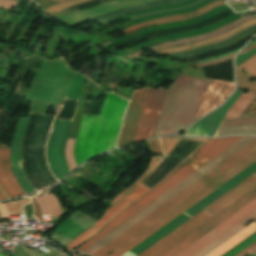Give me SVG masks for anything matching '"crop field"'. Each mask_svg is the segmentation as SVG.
<instances>
[{
	"mask_svg": "<svg viewBox=\"0 0 256 256\" xmlns=\"http://www.w3.org/2000/svg\"><path fill=\"white\" fill-rule=\"evenodd\" d=\"M126 103L116 95L107 94L99 115H83L74 150L77 166L115 147Z\"/></svg>",
	"mask_w": 256,
	"mask_h": 256,
	"instance_id": "obj_1",
	"label": "crop field"
},
{
	"mask_svg": "<svg viewBox=\"0 0 256 256\" xmlns=\"http://www.w3.org/2000/svg\"><path fill=\"white\" fill-rule=\"evenodd\" d=\"M210 82L211 80L179 76L167 92L155 136L174 134L191 124L200 96Z\"/></svg>",
	"mask_w": 256,
	"mask_h": 256,
	"instance_id": "obj_2",
	"label": "crop field"
},
{
	"mask_svg": "<svg viewBox=\"0 0 256 256\" xmlns=\"http://www.w3.org/2000/svg\"><path fill=\"white\" fill-rule=\"evenodd\" d=\"M242 137H225L217 139H209L205 145L194 155V157L184 165L180 170L174 173L166 181L156 187L154 190L146 194L144 197L139 199L137 202L132 204L130 207L118 214L112 219L103 231L97 234L95 237L87 241L78 249L82 252L93 243L98 241L100 238L105 236L107 233L115 229L117 226L122 224L124 221L129 219L131 216L136 214L138 211L143 209L145 206L150 204L152 201L157 199L159 196L167 192L169 189L174 187L176 184L181 182L183 179L188 177L190 174L195 172L197 169L202 167L204 164L209 162L211 159L219 155L221 152L226 150L228 147L233 145L235 142L240 140Z\"/></svg>",
	"mask_w": 256,
	"mask_h": 256,
	"instance_id": "obj_3",
	"label": "crop field"
},
{
	"mask_svg": "<svg viewBox=\"0 0 256 256\" xmlns=\"http://www.w3.org/2000/svg\"><path fill=\"white\" fill-rule=\"evenodd\" d=\"M256 149V138L248 143L246 146L241 148L239 151L234 153L232 156L227 158L225 161L220 163L218 166L210 170L208 173L203 175L201 178L196 180L194 183L189 185L187 188L182 190L180 193L175 195L173 198L168 200L166 203L161 205L159 208L154 210L152 213L147 215L145 218L140 220L138 223L130 227L128 230L123 232L121 235L116 237L114 240L109 242L107 245L102 247L100 250H98L96 253H94L92 256H105V254L109 251L115 250L117 247L122 245L124 242L129 240L131 237L136 235L138 232L143 230L145 227L153 223L155 220L160 218L162 215L167 213L169 210L174 208L176 205L181 203L183 200L188 198L190 195L195 193L197 190L202 188L204 185L209 183L211 180L216 178L218 175L223 173L225 170L230 168L232 165L237 163L239 160L244 158L246 155L251 153L253 150Z\"/></svg>",
	"mask_w": 256,
	"mask_h": 256,
	"instance_id": "obj_4",
	"label": "crop field"
},
{
	"mask_svg": "<svg viewBox=\"0 0 256 256\" xmlns=\"http://www.w3.org/2000/svg\"><path fill=\"white\" fill-rule=\"evenodd\" d=\"M184 139H191V138H180V137L160 138L165 157L152 158L144 175L131 187H129L127 190H125L123 193H121L119 196H117L115 199L109 202V204L113 205L115 202L120 200L126 194L128 193L129 194L125 196L123 199H121L118 203L108 208L105 214L99 220V222L97 221L98 223L96 225H94L91 229L81 233L79 236L73 239L68 244L66 249L71 251L75 246L79 245L81 242H83L85 239H87L94 233L98 232L116 214L121 212L123 209L131 205L133 202H135L144 194H146L155 186H157L172 171H174L180 164H182L190 155L184 161H182L177 167H175L170 173H168L164 178H162L157 184H155L153 187L142 182ZM196 140H199V139H196Z\"/></svg>",
	"mask_w": 256,
	"mask_h": 256,
	"instance_id": "obj_5",
	"label": "crop field"
},
{
	"mask_svg": "<svg viewBox=\"0 0 256 256\" xmlns=\"http://www.w3.org/2000/svg\"><path fill=\"white\" fill-rule=\"evenodd\" d=\"M255 187H256V173L251 177H249L244 182H242L241 184H239L237 187L232 189L230 192L222 196L220 199L215 201L213 204L205 208L202 212L213 217L216 214H218L220 211H222L223 209L231 205L233 202H235L236 200L244 196L246 193L254 189ZM210 218L211 217L201 212L198 213L196 216H194L189 221L181 225L179 228L174 230L172 233L167 235L165 238L160 240L158 243L153 245L151 248H149L139 256H158L159 254L167 250L169 247L174 245L176 242L181 240L183 237H185L186 235L191 233L193 230L198 228L200 225L208 221Z\"/></svg>",
	"mask_w": 256,
	"mask_h": 256,
	"instance_id": "obj_6",
	"label": "crop field"
},
{
	"mask_svg": "<svg viewBox=\"0 0 256 256\" xmlns=\"http://www.w3.org/2000/svg\"><path fill=\"white\" fill-rule=\"evenodd\" d=\"M254 161H256V150L249 154L247 157L242 159L240 162L235 164L233 167L228 169L226 172L221 174L219 177L214 179L212 182L207 184L205 187L200 189L198 192L193 194L191 197L186 199L184 202L179 204L177 207L172 209L170 212L165 214L163 217L158 219L156 222L148 226L146 229L141 231L139 234L134 236L132 239L124 243L122 246L117 248L112 254L109 256H122L124 253H126L128 250L133 248L135 245L140 243L142 240L147 238L149 235L154 233L156 230H158L160 227L165 225L167 222L172 220L174 217L182 213L184 210L192 206L194 203L202 199L204 196L212 192L214 189L222 185L224 182L232 178L234 175L242 171L244 168L252 164Z\"/></svg>",
	"mask_w": 256,
	"mask_h": 256,
	"instance_id": "obj_7",
	"label": "crop field"
},
{
	"mask_svg": "<svg viewBox=\"0 0 256 256\" xmlns=\"http://www.w3.org/2000/svg\"><path fill=\"white\" fill-rule=\"evenodd\" d=\"M255 137H244L242 138L240 141H238L237 143H235L233 146H231L230 148H228L226 151H224L223 153H221L219 156H217L216 158H214L213 160H211L209 163H207L206 165H204L202 168H200L199 170H197L195 173H193L192 175H190L188 178H186L185 180H183L181 183H179L178 185H176L174 188H172L171 190H169L167 193H165L164 195H162L161 197H159L157 200H155L154 202H152L150 205H148L147 207H145L143 210H141L140 212H138L136 215H134L133 217H131L129 220H127L126 222H124L122 225H120L119 227H117L115 230H113L112 232H110L109 234H107L105 237H103L102 239H100L98 242H96L95 244H93L91 247H89L88 249H86L84 252L85 253H92L93 251H97L98 249H100L102 246H104L105 244H107L109 241H111L112 239H114L116 236H118L119 234H121L123 231H125L126 229H128L130 226H132L133 224H135L136 222H138L140 219H142L143 217H145L147 214H149L150 212H152L154 209H156L157 207H159L161 204H163L164 202H166L168 199H170L171 197H173L175 194H177L178 192H180L182 189H184L185 187H187L189 184H191L192 182H194L196 179H198L199 177H201L203 174H205L206 172H208L210 169H212L213 167H215L216 165H218L220 162H222L223 160H225L227 157H229L230 155H232L234 152H236L237 150H239L241 147H243L244 145H246L248 142H250L251 140H253Z\"/></svg>",
	"mask_w": 256,
	"mask_h": 256,
	"instance_id": "obj_8",
	"label": "crop field"
},
{
	"mask_svg": "<svg viewBox=\"0 0 256 256\" xmlns=\"http://www.w3.org/2000/svg\"><path fill=\"white\" fill-rule=\"evenodd\" d=\"M254 172H256V162H254L252 165H250L249 167H247L246 169H244L242 172H240L239 174H237L235 177H233L232 179H230L228 182H226L225 184H223L222 186H220L218 189H216L215 191H213L211 194H209L208 196H206L204 199H202L201 201H199L198 203H196L194 206H192L191 208H189L187 211H185L184 213H182L180 216H178L177 218H175L173 221H171L170 223H168L167 225H165L163 228H161L160 230H158L156 233H154L153 235H151L149 238H147L146 240H144L143 242H141L139 245H137L136 247H134L132 250V252H134L135 254H140L142 251H144L145 249H147L148 247H150L152 244H154L155 242H157L159 239H161L162 237H164L165 235H167L169 232H171L172 230H174L176 227H178L179 225H181L183 222H185L186 220H188L189 218H191L193 215H195L196 213H198L200 210H202L203 208H205L206 206H208L210 203H212L213 201H215L217 198H219L220 196H222L223 194H225L227 191H229L230 189H232L234 186H236L237 184H239L241 181H243L244 179H246L247 177H249L251 174H253Z\"/></svg>",
	"mask_w": 256,
	"mask_h": 256,
	"instance_id": "obj_9",
	"label": "crop field"
},
{
	"mask_svg": "<svg viewBox=\"0 0 256 256\" xmlns=\"http://www.w3.org/2000/svg\"><path fill=\"white\" fill-rule=\"evenodd\" d=\"M72 120L56 119L48 147V160L53 174L59 179L68 172L64 150Z\"/></svg>",
	"mask_w": 256,
	"mask_h": 256,
	"instance_id": "obj_10",
	"label": "crop field"
},
{
	"mask_svg": "<svg viewBox=\"0 0 256 256\" xmlns=\"http://www.w3.org/2000/svg\"><path fill=\"white\" fill-rule=\"evenodd\" d=\"M166 92L165 90H148L135 141L154 135Z\"/></svg>",
	"mask_w": 256,
	"mask_h": 256,
	"instance_id": "obj_11",
	"label": "crop field"
},
{
	"mask_svg": "<svg viewBox=\"0 0 256 256\" xmlns=\"http://www.w3.org/2000/svg\"><path fill=\"white\" fill-rule=\"evenodd\" d=\"M256 211V199L252 201L250 204L242 208L240 211L235 213L233 216L228 218L226 221L218 225L216 228L211 230L209 233L204 235L202 238L194 242L192 245L187 247L185 250L180 252L176 256H192L197 253L199 250L204 248L210 242L215 240L217 237L222 235L224 232L229 230L231 227L239 223L241 220L249 216L251 213Z\"/></svg>",
	"mask_w": 256,
	"mask_h": 256,
	"instance_id": "obj_12",
	"label": "crop field"
},
{
	"mask_svg": "<svg viewBox=\"0 0 256 256\" xmlns=\"http://www.w3.org/2000/svg\"><path fill=\"white\" fill-rule=\"evenodd\" d=\"M30 115H31V113H29L28 118H23V117L18 118L15 130L13 133L11 146H10L12 172H13L17 182L19 183V185L25 192V194H27L31 191H34V188L28 182V180L23 172V160H22V147H23ZM18 146L20 148V152H19L20 168H21V173L24 176V180H23V178L20 174L19 168H18Z\"/></svg>",
	"mask_w": 256,
	"mask_h": 256,
	"instance_id": "obj_13",
	"label": "crop field"
},
{
	"mask_svg": "<svg viewBox=\"0 0 256 256\" xmlns=\"http://www.w3.org/2000/svg\"><path fill=\"white\" fill-rule=\"evenodd\" d=\"M254 198H256V189L254 191H252L251 193H249L247 196H245L244 198H242L240 201H238L237 203H235L234 205H232L230 208H228L227 210H225L223 213H221L220 215H218L216 218H214L213 220H211L209 223H207L206 225H204L202 228H200L199 230H197L195 233H193L192 235H190L189 237H187L185 240H183L182 242H180L178 245H176L175 247H173L171 250H169L168 252H166L164 255L162 256H174L175 254H177L179 251H181L182 249H184L186 246H188L189 244H191L193 241H195L196 239H198L199 237H201L203 234H205L206 232H208L210 229H212L213 227H215L217 224H219L220 222H222L223 220H225L227 217H229L230 215H232L234 212H236L237 210H239L241 207H243L244 205H246L247 203H249L251 200H253Z\"/></svg>",
	"mask_w": 256,
	"mask_h": 256,
	"instance_id": "obj_14",
	"label": "crop field"
},
{
	"mask_svg": "<svg viewBox=\"0 0 256 256\" xmlns=\"http://www.w3.org/2000/svg\"><path fill=\"white\" fill-rule=\"evenodd\" d=\"M147 90L134 92L120 138L119 146L134 141ZM118 146V147H119Z\"/></svg>",
	"mask_w": 256,
	"mask_h": 256,
	"instance_id": "obj_15",
	"label": "crop field"
},
{
	"mask_svg": "<svg viewBox=\"0 0 256 256\" xmlns=\"http://www.w3.org/2000/svg\"><path fill=\"white\" fill-rule=\"evenodd\" d=\"M239 94L240 92L236 91V93L227 101L224 106L210 113L196 124L191 126L186 130L185 134L192 136H213L221 122L223 115L228 111Z\"/></svg>",
	"mask_w": 256,
	"mask_h": 256,
	"instance_id": "obj_16",
	"label": "crop field"
},
{
	"mask_svg": "<svg viewBox=\"0 0 256 256\" xmlns=\"http://www.w3.org/2000/svg\"><path fill=\"white\" fill-rule=\"evenodd\" d=\"M220 83V81L214 80L207 91L204 93L196 119L220 105L234 90L233 84L226 82H223V84L217 90L216 88L220 85ZM215 89L217 92L214 94L213 92ZM212 93L214 95L211 97Z\"/></svg>",
	"mask_w": 256,
	"mask_h": 256,
	"instance_id": "obj_17",
	"label": "crop field"
},
{
	"mask_svg": "<svg viewBox=\"0 0 256 256\" xmlns=\"http://www.w3.org/2000/svg\"><path fill=\"white\" fill-rule=\"evenodd\" d=\"M0 183L10 198L24 194L11 173L9 149H0Z\"/></svg>",
	"mask_w": 256,
	"mask_h": 256,
	"instance_id": "obj_18",
	"label": "crop field"
},
{
	"mask_svg": "<svg viewBox=\"0 0 256 256\" xmlns=\"http://www.w3.org/2000/svg\"><path fill=\"white\" fill-rule=\"evenodd\" d=\"M223 4H225V1H222V0L214 1V2H211L210 4H208L207 6H205L203 8H200L198 10H195L193 12L174 15V16H170V17H166V18H162V19H157V20H152V21H149V22H146V23H143V24L131 26L128 29L123 30L121 32H123L124 34L127 35V34L133 32L135 30H138V29H141V28H144V27H148V26H152V25H156V24H160V23L179 21V20H183V19L191 18V17H196V16H199V15L205 13L206 11H208V10L214 8V7H217V6H220V5H223Z\"/></svg>",
	"mask_w": 256,
	"mask_h": 256,
	"instance_id": "obj_19",
	"label": "crop field"
},
{
	"mask_svg": "<svg viewBox=\"0 0 256 256\" xmlns=\"http://www.w3.org/2000/svg\"><path fill=\"white\" fill-rule=\"evenodd\" d=\"M256 24V19H253L247 23H244L220 36L208 39L206 41L200 42V43H195V44H189V45H183V46H177V47H173V48H168V49H163L160 51H157L158 54L162 55V54H166V53H172V52H178V51H185V50H190L193 48H197V47H201V46H205V45H209V44H213V43H217V42H221L227 38H229L230 36L244 30L245 28L255 25Z\"/></svg>",
	"mask_w": 256,
	"mask_h": 256,
	"instance_id": "obj_20",
	"label": "crop field"
},
{
	"mask_svg": "<svg viewBox=\"0 0 256 256\" xmlns=\"http://www.w3.org/2000/svg\"><path fill=\"white\" fill-rule=\"evenodd\" d=\"M256 17V13L255 14H252V15H249V16H245V17H242L214 32H211V33H207V34H203L201 36H197V37H193V38H188V39H184V40H179V41H173V42H168V43H163V44H159V45H155V46H152V47H149L151 48L152 50L156 51V50H159V49H162V48H166V47H172V46H176V45H179V44H185V43H191V42H197V41H201V40H204V39H207V38H210V37H213V36H216V35H219L243 22H246V21H249L253 18Z\"/></svg>",
	"mask_w": 256,
	"mask_h": 256,
	"instance_id": "obj_21",
	"label": "crop field"
},
{
	"mask_svg": "<svg viewBox=\"0 0 256 256\" xmlns=\"http://www.w3.org/2000/svg\"><path fill=\"white\" fill-rule=\"evenodd\" d=\"M256 222V221H254ZM251 223L249 226L244 228L242 231H240L238 234H236L234 237L229 239L227 242L222 244L220 247L215 249L213 252L208 254L207 256H221L225 252H227L229 249L234 247L236 244L241 242L243 239L251 235L253 232L256 231V223Z\"/></svg>",
	"mask_w": 256,
	"mask_h": 256,
	"instance_id": "obj_22",
	"label": "crop field"
},
{
	"mask_svg": "<svg viewBox=\"0 0 256 256\" xmlns=\"http://www.w3.org/2000/svg\"><path fill=\"white\" fill-rule=\"evenodd\" d=\"M249 219H256V212H254L253 214H251L249 217H247L246 219H244L242 222H240L239 224H237L235 227H233L232 229H230L228 232H226L225 234H223L221 237H219L218 239H216L214 242H212L211 244H209L207 247H205L204 249H202L200 252H198L197 254H195L194 256H205L208 253H210L212 250H214L215 248H217L219 245H221L222 243H224L226 240H228L229 238H231L233 235H235L237 232H239L240 230H242L245 226L244 224L249 220Z\"/></svg>",
	"mask_w": 256,
	"mask_h": 256,
	"instance_id": "obj_23",
	"label": "crop field"
},
{
	"mask_svg": "<svg viewBox=\"0 0 256 256\" xmlns=\"http://www.w3.org/2000/svg\"><path fill=\"white\" fill-rule=\"evenodd\" d=\"M36 198L43 210L44 216L50 215V217L53 218L64 215L57 199L53 197L51 194Z\"/></svg>",
	"mask_w": 256,
	"mask_h": 256,
	"instance_id": "obj_24",
	"label": "crop field"
},
{
	"mask_svg": "<svg viewBox=\"0 0 256 256\" xmlns=\"http://www.w3.org/2000/svg\"><path fill=\"white\" fill-rule=\"evenodd\" d=\"M178 1H182V0H159V1H153V2H149V3H145V4H141V5H137V6H133V7H129L126 8L116 14L113 15H109L103 18H98L97 20H99L101 23L110 21L112 19H115L123 14L126 13H130V12H134V11H138V10H142V9H147V8H151V7H155V6H160V5H165V4H170V3H174V2H178Z\"/></svg>",
	"mask_w": 256,
	"mask_h": 256,
	"instance_id": "obj_25",
	"label": "crop field"
},
{
	"mask_svg": "<svg viewBox=\"0 0 256 256\" xmlns=\"http://www.w3.org/2000/svg\"><path fill=\"white\" fill-rule=\"evenodd\" d=\"M249 92L247 94H244V93L241 94V96L237 99V101L233 104V106L227 112L224 119L239 117V115L242 113L245 107L255 97V95L251 94L252 92L251 93Z\"/></svg>",
	"mask_w": 256,
	"mask_h": 256,
	"instance_id": "obj_26",
	"label": "crop field"
},
{
	"mask_svg": "<svg viewBox=\"0 0 256 256\" xmlns=\"http://www.w3.org/2000/svg\"><path fill=\"white\" fill-rule=\"evenodd\" d=\"M52 1L62 3V2L69 1V0H52ZM88 1H91V0H73V1L66 2V3L54 5L52 7L47 8V9L41 10L40 12L42 14L48 16L49 14H51L55 11L63 10V9H66V8H69V7L78 5V4L88 2Z\"/></svg>",
	"mask_w": 256,
	"mask_h": 256,
	"instance_id": "obj_27",
	"label": "crop field"
},
{
	"mask_svg": "<svg viewBox=\"0 0 256 256\" xmlns=\"http://www.w3.org/2000/svg\"><path fill=\"white\" fill-rule=\"evenodd\" d=\"M54 86L55 85H53V84L41 82L37 89L34 99L49 103L51 96H52Z\"/></svg>",
	"mask_w": 256,
	"mask_h": 256,
	"instance_id": "obj_28",
	"label": "crop field"
},
{
	"mask_svg": "<svg viewBox=\"0 0 256 256\" xmlns=\"http://www.w3.org/2000/svg\"><path fill=\"white\" fill-rule=\"evenodd\" d=\"M236 71H237L238 87L246 88L256 94V82L251 83L249 81L252 78V76L244 74L243 70L241 69L236 68Z\"/></svg>",
	"mask_w": 256,
	"mask_h": 256,
	"instance_id": "obj_29",
	"label": "crop field"
},
{
	"mask_svg": "<svg viewBox=\"0 0 256 256\" xmlns=\"http://www.w3.org/2000/svg\"><path fill=\"white\" fill-rule=\"evenodd\" d=\"M256 241V232L223 256H235Z\"/></svg>",
	"mask_w": 256,
	"mask_h": 256,
	"instance_id": "obj_30",
	"label": "crop field"
},
{
	"mask_svg": "<svg viewBox=\"0 0 256 256\" xmlns=\"http://www.w3.org/2000/svg\"><path fill=\"white\" fill-rule=\"evenodd\" d=\"M76 140L68 139L66 144L65 156L69 166V170L71 171L73 168L76 167L73 150Z\"/></svg>",
	"mask_w": 256,
	"mask_h": 256,
	"instance_id": "obj_31",
	"label": "crop field"
},
{
	"mask_svg": "<svg viewBox=\"0 0 256 256\" xmlns=\"http://www.w3.org/2000/svg\"><path fill=\"white\" fill-rule=\"evenodd\" d=\"M239 67L245 68L246 73L250 75H256V54L246 60L243 64H241Z\"/></svg>",
	"mask_w": 256,
	"mask_h": 256,
	"instance_id": "obj_32",
	"label": "crop field"
},
{
	"mask_svg": "<svg viewBox=\"0 0 256 256\" xmlns=\"http://www.w3.org/2000/svg\"><path fill=\"white\" fill-rule=\"evenodd\" d=\"M30 199L5 204L9 213H23L22 205L29 203Z\"/></svg>",
	"mask_w": 256,
	"mask_h": 256,
	"instance_id": "obj_33",
	"label": "crop field"
},
{
	"mask_svg": "<svg viewBox=\"0 0 256 256\" xmlns=\"http://www.w3.org/2000/svg\"><path fill=\"white\" fill-rule=\"evenodd\" d=\"M147 143H148V147H149L150 152L162 154L161 147H160L158 139L148 141Z\"/></svg>",
	"mask_w": 256,
	"mask_h": 256,
	"instance_id": "obj_34",
	"label": "crop field"
},
{
	"mask_svg": "<svg viewBox=\"0 0 256 256\" xmlns=\"http://www.w3.org/2000/svg\"><path fill=\"white\" fill-rule=\"evenodd\" d=\"M256 53V48L245 53V54H242L240 56L237 57L236 59V66L241 64L243 61H245L247 58H249L251 55L255 54Z\"/></svg>",
	"mask_w": 256,
	"mask_h": 256,
	"instance_id": "obj_35",
	"label": "crop field"
},
{
	"mask_svg": "<svg viewBox=\"0 0 256 256\" xmlns=\"http://www.w3.org/2000/svg\"><path fill=\"white\" fill-rule=\"evenodd\" d=\"M32 202H33V205H34V209H35V213H36V218H37L39 221L43 220V218H42V213H41V210H40V208H39L38 203L35 201L34 198H32Z\"/></svg>",
	"mask_w": 256,
	"mask_h": 256,
	"instance_id": "obj_36",
	"label": "crop field"
},
{
	"mask_svg": "<svg viewBox=\"0 0 256 256\" xmlns=\"http://www.w3.org/2000/svg\"><path fill=\"white\" fill-rule=\"evenodd\" d=\"M0 213L2 218H9V214L4 204L0 205Z\"/></svg>",
	"mask_w": 256,
	"mask_h": 256,
	"instance_id": "obj_37",
	"label": "crop field"
},
{
	"mask_svg": "<svg viewBox=\"0 0 256 256\" xmlns=\"http://www.w3.org/2000/svg\"><path fill=\"white\" fill-rule=\"evenodd\" d=\"M234 56H235V54H234V55H231V56H227V57L221 58V59H217V60H214V61H211V62H207V63H204V64L195 65L194 67L217 63V62H219V61H222V60L228 59V58H230V57H234Z\"/></svg>",
	"mask_w": 256,
	"mask_h": 256,
	"instance_id": "obj_38",
	"label": "crop field"
},
{
	"mask_svg": "<svg viewBox=\"0 0 256 256\" xmlns=\"http://www.w3.org/2000/svg\"><path fill=\"white\" fill-rule=\"evenodd\" d=\"M240 49L230 53V54H233V53H236L238 52ZM230 54H226V55H222V56H218V57H214V58H210V59H207V60H203V61H199L198 63H201V62H206V61H210V60H214V59H217V58H221V57H224V56H227V55H230Z\"/></svg>",
	"mask_w": 256,
	"mask_h": 256,
	"instance_id": "obj_39",
	"label": "crop field"
},
{
	"mask_svg": "<svg viewBox=\"0 0 256 256\" xmlns=\"http://www.w3.org/2000/svg\"><path fill=\"white\" fill-rule=\"evenodd\" d=\"M142 52L143 51H138V52H136L134 54H131V55H128L126 57H130V58L138 57V56H141Z\"/></svg>",
	"mask_w": 256,
	"mask_h": 256,
	"instance_id": "obj_40",
	"label": "crop field"
},
{
	"mask_svg": "<svg viewBox=\"0 0 256 256\" xmlns=\"http://www.w3.org/2000/svg\"><path fill=\"white\" fill-rule=\"evenodd\" d=\"M256 245V242L254 244H252L250 247H248L247 249H245L243 252H241L240 254H238L237 256H242L243 254H245L248 250H250L251 248H253Z\"/></svg>",
	"mask_w": 256,
	"mask_h": 256,
	"instance_id": "obj_41",
	"label": "crop field"
},
{
	"mask_svg": "<svg viewBox=\"0 0 256 256\" xmlns=\"http://www.w3.org/2000/svg\"><path fill=\"white\" fill-rule=\"evenodd\" d=\"M255 47H256V44H254V45H252V46H250V47L244 49V50L241 52V54L244 53V52H246V51H249V50H251V49H253V48H255Z\"/></svg>",
	"mask_w": 256,
	"mask_h": 256,
	"instance_id": "obj_42",
	"label": "crop field"
},
{
	"mask_svg": "<svg viewBox=\"0 0 256 256\" xmlns=\"http://www.w3.org/2000/svg\"><path fill=\"white\" fill-rule=\"evenodd\" d=\"M0 113H1V111H0ZM7 197H6V195L3 193V191L0 189V200L1 199H6Z\"/></svg>",
	"mask_w": 256,
	"mask_h": 256,
	"instance_id": "obj_43",
	"label": "crop field"
},
{
	"mask_svg": "<svg viewBox=\"0 0 256 256\" xmlns=\"http://www.w3.org/2000/svg\"><path fill=\"white\" fill-rule=\"evenodd\" d=\"M255 251H256V247L253 248L252 250H250L249 252L252 254V253H254Z\"/></svg>",
	"mask_w": 256,
	"mask_h": 256,
	"instance_id": "obj_44",
	"label": "crop field"
},
{
	"mask_svg": "<svg viewBox=\"0 0 256 256\" xmlns=\"http://www.w3.org/2000/svg\"><path fill=\"white\" fill-rule=\"evenodd\" d=\"M254 42H256V39H255V40H253V41H251V42L249 43V45H250V44H252V43H254ZM249 45H248V46H249Z\"/></svg>",
	"mask_w": 256,
	"mask_h": 256,
	"instance_id": "obj_45",
	"label": "crop field"
},
{
	"mask_svg": "<svg viewBox=\"0 0 256 256\" xmlns=\"http://www.w3.org/2000/svg\"><path fill=\"white\" fill-rule=\"evenodd\" d=\"M253 256H256V254H255V255H253Z\"/></svg>",
	"mask_w": 256,
	"mask_h": 256,
	"instance_id": "obj_46",
	"label": "crop field"
}]
</instances>
